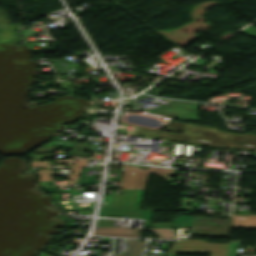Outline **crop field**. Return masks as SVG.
<instances>
[{
	"instance_id": "8a807250",
	"label": "crop field",
	"mask_w": 256,
	"mask_h": 256,
	"mask_svg": "<svg viewBox=\"0 0 256 256\" xmlns=\"http://www.w3.org/2000/svg\"><path fill=\"white\" fill-rule=\"evenodd\" d=\"M197 144L232 150L256 151V135L221 132L214 128L195 125ZM221 135L222 138L217 136Z\"/></svg>"
},
{
	"instance_id": "ac0d7876",
	"label": "crop field",
	"mask_w": 256,
	"mask_h": 256,
	"mask_svg": "<svg viewBox=\"0 0 256 256\" xmlns=\"http://www.w3.org/2000/svg\"><path fill=\"white\" fill-rule=\"evenodd\" d=\"M154 211H139V207H101L99 216L149 218L144 227H190L192 217L179 215L173 223L149 224Z\"/></svg>"
},
{
	"instance_id": "34b2d1b8",
	"label": "crop field",
	"mask_w": 256,
	"mask_h": 256,
	"mask_svg": "<svg viewBox=\"0 0 256 256\" xmlns=\"http://www.w3.org/2000/svg\"><path fill=\"white\" fill-rule=\"evenodd\" d=\"M227 244H207L200 240L173 241L166 256L176 253L210 254V256H226Z\"/></svg>"
},
{
	"instance_id": "412701ff",
	"label": "crop field",
	"mask_w": 256,
	"mask_h": 256,
	"mask_svg": "<svg viewBox=\"0 0 256 256\" xmlns=\"http://www.w3.org/2000/svg\"><path fill=\"white\" fill-rule=\"evenodd\" d=\"M230 229L229 220L193 217L190 235L228 238Z\"/></svg>"
},
{
	"instance_id": "f4fd0767",
	"label": "crop field",
	"mask_w": 256,
	"mask_h": 256,
	"mask_svg": "<svg viewBox=\"0 0 256 256\" xmlns=\"http://www.w3.org/2000/svg\"><path fill=\"white\" fill-rule=\"evenodd\" d=\"M200 104L171 100L155 113L174 119L198 121L196 112Z\"/></svg>"
},
{
	"instance_id": "dd49c442",
	"label": "crop field",
	"mask_w": 256,
	"mask_h": 256,
	"mask_svg": "<svg viewBox=\"0 0 256 256\" xmlns=\"http://www.w3.org/2000/svg\"><path fill=\"white\" fill-rule=\"evenodd\" d=\"M139 230H153L158 238L173 239V229L158 228H97L93 235L141 237Z\"/></svg>"
},
{
	"instance_id": "e52e79f7",
	"label": "crop field",
	"mask_w": 256,
	"mask_h": 256,
	"mask_svg": "<svg viewBox=\"0 0 256 256\" xmlns=\"http://www.w3.org/2000/svg\"><path fill=\"white\" fill-rule=\"evenodd\" d=\"M122 178L119 188L144 189L149 173L130 166L121 165Z\"/></svg>"
},
{
	"instance_id": "d8731c3e",
	"label": "crop field",
	"mask_w": 256,
	"mask_h": 256,
	"mask_svg": "<svg viewBox=\"0 0 256 256\" xmlns=\"http://www.w3.org/2000/svg\"><path fill=\"white\" fill-rule=\"evenodd\" d=\"M145 190H124L121 197L104 195L102 206H140Z\"/></svg>"
},
{
	"instance_id": "5a996713",
	"label": "crop field",
	"mask_w": 256,
	"mask_h": 256,
	"mask_svg": "<svg viewBox=\"0 0 256 256\" xmlns=\"http://www.w3.org/2000/svg\"><path fill=\"white\" fill-rule=\"evenodd\" d=\"M88 145L86 144H79L75 143L74 147L72 150L69 152L68 155L72 156H83V157H89L90 154L88 153H83L85 149L87 148ZM51 148L57 149V148H65V147H49V146H41L39 149L35 150L34 153H52L53 150ZM39 151V152H36Z\"/></svg>"
},
{
	"instance_id": "3316defc",
	"label": "crop field",
	"mask_w": 256,
	"mask_h": 256,
	"mask_svg": "<svg viewBox=\"0 0 256 256\" xmlns=\"http://www.w3.org/2000/svg\"><path fill=\"white\" fill-rule=\"evenodd\" d=\"M232 228L256 229V216L233 215Z\"/></svg>"
},
{
	"instance_id": "28ad6ade",
	"label": "crop field",
	"mask_w": 256,
	"mask_h": 256,
	"mask_svg": "<svg viewBox=\"0 0 256 256\" xmlns=\"http://www.w3.org/2000/svg\"><path fill=\"white\" fill-rule=\"evenodd\" d=\"M128 250L125 256H141L145 243L140 240L127 239ZM117 256V255H112Z\"/></svg>"
},
{
	"instance_id": "d1516ede",
	"label": "crop field",
	"mask_w": 256,
	"mask_h": 256,
	"mask_svg": "<svg viewBox=\"0 0 256 256\" xmlns=\"http://www.w3.org/2000/svg\"><path fill=\"white\" fill-rule=\"evenodd\" d=\"M87 162H88V160H86V159L77 158L75 160V162L72 164V166L70 167L71 170H74V172L69 175V179L76 180L80 170L82 169V167L86 166Z\"/></svg>"
},
{
	"instance_id": "22f410ed",
	"label": "crop field",
	"mask_w": 256,
	"mask_h": 256,
	"mask_svg": "<svg viewBox=\"0 0 256 256\" xmlns=\"http://www.w3.org/2000/svg\"><path fill=\"white\" fill-rule=\"evenodd\" d=\"M148 171L154 173V174H157L167 180H169L173 170H170V169H162V168H153V167H149L148 168Z\"/></svg>"
},
{
	"instance_id": "cbeb9de0",
	"label": "crop field",
	"mask_w": 256,
	"mask_h": 256,
	"mask_svg": "<svg viewBox=\"0 0 256 256\" xmlns=\"http://www.w3.org/2000/svg\"><path fill=\"white\" fill-rule=\"evenodd\" d=\"M242 241H229V250H228V256H236L238 254H235L239 246H241ZM238 247V248H236Z\"/></svg>"
},
{
	"instance_id": "5142ce71",
	"label": "crop field",
	"mask_w": 256,
	"mask_h": 256,
	"mask_svg": "<svg viewBox=\"0 0 256 256\" xmlns=\"http://www.w3.org/2000/svg\"><path fill=\"white\" fill-rule=\"evenodd\" d=\"M57 171L50 170H39L37 173L40 175L38 181L51 180L50 174L56 173Z\"/></svg>"
},
{
	"instance_id": "d9b57169",
	"label": "crop field",
	"mask_w": 256,
	"mask_h": 256,
	"mask_svg": "<svg viewBox=\"0 0 256 256\" xmlns=\"http://www.w3.org/2000/svg\"><path fill=\"white\" fill-rule=\"evenodd\" d=\"M54 156L53 154H42V155H28L31 161L43 160L45 157Z\"/></svg>"
},
{
	"instance_id": "733c2abd",
	"label": "crop field",
	"mask_w": 256,
	"mask_h": 256,
	"mask_svg": "<svg viewBox=\"0 0 256 256\" xmlns=\"http://www.w3.org/2000/svg\"><path fill=\"white\" fill-rule=\"evenodd\" d=\"M49 162L47 161H37V162H31V166H48Z\"/></svg>"
},
{
	"instance_id": "4a817a6b",
	"label": "crop field",
	"mask_w": 256,
	"mask_h": 256,
	"mask_svg": "<svg viewBox=\"0 0 256 256\" xmlns=\"http://www.w3.org/2000/svg\"><path fill=\"white\" fill-rule=\"evenodd\" d=\"M73 159H70V160H58V161H60L61 163H69V162H71Z\"/></svg>"
}]
</instances>
